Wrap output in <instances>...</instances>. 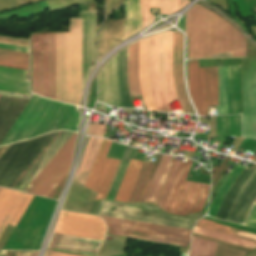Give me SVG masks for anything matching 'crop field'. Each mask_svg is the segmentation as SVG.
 Listing matches in <instances>:
<instances>
[{
    "mask_svg": "<svg viewBox=\"0 0 256 256\" xmlns=\"http://www.w3.org/2000/svg\"><path fill=\"white\" fill-rule=\"evenodd\" d=\"M189 58L245 56L246 38L230 23L196 4L186 13Z\"/></svg>",
    "mask_w": 256,
    "mask_h": 256,
    "instance_id": "obj_1",
    "label": "crop field"
},
{
    "mask_svg": "<svg viewBox=\"0 0 256 256\" xmlns=\"http://www.w3.org/2000/svg\"><path fill=\"white\" fill-rule=\"evenodd\" d=\"M189 91L199 115H208V105H218L219 115L227 114L226 67L198 68L188 61ZM228 114L241 113L240 66L227 67Z\"/></svg>",
    "mask_w": 256,
    "mask_h": 256,
    "instance_id": "obj_2",
    "label": "crop field"
},
{
    "mask_svg": "<svg viewBox=\"0 0 256 256\" xmlns=\"http://www.w3.org/2000/svg\"><path fill=\"white\" fill-rule=\"evenodd\" d=\"M37 99L38 97L33 95L0 146L11 143ZM78 121L79 112L76 111L75 106L39 97L12 142L31 138L53 130L66 129L77 131Z\"/></svg>",
    "mask_w": 256,
    "mask_h": 256,
    "instance_id": "obj_3",
    "label": "crop field"
},
{
    "mask_svg": "<svg viewBox=\"0 0 256 256\" xmlns=\"http://www.w3.org/2000/svg\"><path fill=\"white\" fill-rule=\"evenodd\" d=\"M81 91V19H70L69 32L56 33L55 100L78 105Z\"/></svg>",
    "mask_w": 256,
    "mask_h": 256,
    "instance_id": "obj_4",
    "label": "crop field"
},
{
    "mask_svg": "<svg viewBox=\"0 0 256 256\" xmlns=\"http://www.w3.org/2000/svg\"><path fill=\"white\" fill-rule=\"evenodd\" d=\"M176 161H179V160L172 159L173 166L171 168V171L169 173V176L167 178V181L162 190V193L160 195V198L158 200L156 207H158V205L160 203V200L163 196L165 188L168 184L170 176L175 167ZM181 162H182L181 168H180V164H181L180 162H177V164H176V167L171 176V179L169 181V184L166 188V191L164 193V196L161 200L159 207L164 208V205L166 203V200L168 198V195L170 193V190L172 188V185L174 183V180H175L178 170L180 168L179 173L177 175V178L175 180V183L173 185V188L171 190V193L169 195V198L167 200V203H166L163 211L168 214L186 216L188 214L200 212L202 210L204 202L208 195L210 185L185 181L193 161L188 159L187 162H183V161H181Z\"/></svg>",
    "mask_w": 256,
    "mask_h": 256,
    "instance_id": "obj_5",
    "label": "crop field"
},
{
    "mask_svg": "<svg viewBox=\"0 0 256 256\" xmlns=\"http://www.w3.org/2000/svg\"><path fill=\"white\" fill-rule=\"evenodd\" d=\"M150 76L155 102L160 111L172 112L168 103L176 101L172 76V33L150 38Z\"/></svg>",
    "mask_w": 256,
    "mask_h": 256,
    "instance_id": "obj_6",
    "label": "crop field"
},
{
    "mask_svg": "<svg viewBox=\"0 0 256 256\" xmlns=\"http://www.w3.org/2000/svg\"><path fill=\"white\" fill-rule=\"evenodd\" d=\"M32 92L55 97V33L32 34Z\"/></svg>",
    "mask_w": 256,
    "mask_h": 256,
    "instance_id": "obj_7",
    "label": "crop field"
},
{
    "mask_svg": "<svg viewBox=\"0 0 256 256\" xmlns=\"http://www.w3.org/2000/svg\"><path fill=\"white\" fill-rule=\"evenodd\" d=\"M75 136H76V133H74L70 137V139L63 145V147L56 153V155L49 161V163L41 170V172L27 186L24 192H28V193H32V194H36L44 197H46L49 194V192L57 185V183L69 171V167L72 161V150H73V145L75 141ZM67 175L68 173L58 183V185L50 192L47 198L58 200ZM20 178L16 181V183L20 180Z\"/></svg>",
    "mask_w": 256,
    "mask_h": 256,
    "instance_id": "obj_8",
    "label": "crop field"
},
{
    "mask_svg": "<svg viewBox=\"0 0 256 256\" xmlns=\"http://www.w3.org/2000/svg\"><path fill=\"white\" fill-rule=\"evenodd\" d=\"M101 217L103 218L105 223L115 224L114 228H118V229L122 228V224H123L124 220L103 217V216H101ZM110 224H107V226H108L107 233L112 234L113 230H117V229H113L114 225H110ZM153 226L154 225H151V224H145V223H139V222L125 220L122 230H117V231H121L120 235H123V236H131V237L149 239L151 231L153 229ZM154 228L182 232V233H185V231H186L183 229L170 228V227H164V226H158V225H155ZM156 230L152 231L151 238L148 241L161 242V243L189 247L190 240H188V239H190V233L192 230H187V232H186V238H188V239H185V235H182V234L162 232L163 230L162 231H156ZM117 231H114L113 235L119 236L120 232H117ZM131 237H129V238H131ZM138 238H135V239H138ZM146 239H142V240H146Z\"/></svg>",
    "mask_w": 256,
    "mask_h": 256,
    "instance_id": "obj_9",
    "label": "crop field"
},
{
    "mask_svg": "<svg viewBox=\"0 0 256 256\" xmlns=\"http://www.w3.org/2000/svg\"><path fill=\"white\" fill-rule=\"evenodd\" d=\"M112 141L104 139L86 183V187L98 192L92 207L98 208L105 199L116 173L120 158L107 157Z\"/></svg>",
    "mask_w": 256,
    "mask_h": 256,
    "instance_id": "obj_10",
    "label": "crop field"
},
{
    "mask_svg": "<svg viewBox=\"0 0 256 256\" xmlns=\"http://www.w3.org/2000/svg\"><path fill=\"white\" fill-rule=\"evenodd\" d=\"M105 231L97 216L61 211L54 232L103 241Z\"/></svg>",
    "mask_w": 256,
    "mask_h": 256,
    "instance_id": "obj_11",
    "label": "crop field"
},
{
    "mask_svg": "<svg viewBox=\"0 0 256 256\" xmlns=\"http://www.w3.org/2000/svg\"><path fill=\"white\" fill-rule=\"evenodd\" d=\"M243 135L256 138V58L242 59Z\"/></svg>",
    "mask_w": 256,
    "mask_h": 256,
    "instance_id": "obj_12",
    "label": "crop field"
},
{
    "mask_svg": "<svg viewBox=\"0 0 256 256\" xmlns=\"http://www.w3.org/2000/svg\"><path fill=\"white\" fill-rule=\"evenodd\" d=\"M32 195L2 188L0 192V236L7 225L15 227Z\"/></svg>",
    "mask_w": 256,
    "mask_h": 256,
    "instance_id": "obj_13",
    "label": "crop field"
},
{
    "mask_svg": "<svg viewBox=\"0 0 256 256\" xmlns=\"http://www.w3.org/2000/svg\"><path fill=\"white\" fill-rule=\"evenodd\" d=\"M100 99L105 103L123 108L117 77V55L101 70L98 77Z\"/></svg>",
    "mask_w": 256,
    "mask_h": 256,
    "instance_id": "obj_14",
    "label": "crop field"
},
{
    "mask_svg": "<svg viewBox=\"0 0 256 256\" xmlns=\"http://www.w3.org/2000/svg\"><path fill=\"white\" fill-rule=\"evenodd\" d=\"M101 241L78 238L54 233L47 249L75 253L87 256H96Z\"/></svg>",
    "mask_w": 256,
    "mask_h": 256,
    "instance_id": "obj_15",
    "label": "crop field"
},
{
    "mask_svg": "<svg viewBox=\"0 0 256 256\" xmlns=\"http://www.w3.org/2000/svg\"><path fill=\"white\" fill-rule=\"evenodd\" d=\"M183 38L180 32L173 33V75L176 95L184 113L192 111L182 73Z\"/></svg>",
    "mask_w": 256,
    "mask_h": 256,
    "instance_id": "obj_16",
    "label": "crop field"
},
{
    "mask_svg": "<svg viewBox=\"0 0 256 256\" xmlns=\"http://www.w3.org/2000/svg\"><path fill=\"white\" fill-rule=\"evenodd\" d=\"M82 46H83V84L92 69L94 58V37L96 33L97 11H82Z\"/></svg>",
    "mask_w": 256,
    "mask_h": 256,
    "instance_id": "obj_17",
    "label": "crop field"
},
{
    "mask_svg": "<svg viewBox=\"0 0 256 256\" xmlns=\"http://www.w3.org/2000/svg\"><path fill=\"white\" fill-rule=\"evenodd\" d=\"M139 77L143 101L147 109L159 111L152 95L149 76V38L139 41Z\"/></svg>",
    "mask_w": 256,
    "mask_h": 256,
    "instance_id": "obj_18",
    "label": "crop field"
},
{
    "mask_svg": "<svg viewBox=\"0 0 256 256\" xmlns=\"http://www.w3.org/2000/svg\"><path fill=\"white\" fill-rule=\"evenodd\" d=\"M0 92L29 95L27 71L0 67Z\"/></svg>",
    "mask_w": 256,
    "mask_h": 256,
    "instance_id": "obj_19",
    "label": "crop field"
},
{
    "mask_svg": "<svg viewBox=\"0 0 256 256\" xmlns=\"http://www.w3.org/2000/svg\"><path fill=\"white\" fill-rule=\"evenodd\" d=\"M190 1L188 0H140L142 25L141 29L153 22V16L149 13V8H161V14H170L176 10L182 9Z\"/></svg>",
    "mask_w": 256,
    "mask_h": 256,
    "instance_id": "obj_20",
    "label": "crop field"
},
{
    "mask_svg": "<svg viewBox=\"0 0 256 256\" xmlns=\"http://www.w3.org/2000/svg\"><path fill=\"white\" fill-rule=\"evenodd\" d=\"M0 47L19 49L29 51V48L2 44ZM0 48V65L17 67V68H29V52Z\"/></svg>",
    "mask_w": 256,
    "mask_h": 256,
    "instance_id": "obj_21",
    "label": "crop field"
},
{
    "mask_svg": "<svg viewBox=\"0 0 256 256\" xmlns=\"http://www.w3.org/2000/svg\"><path fill=\"white\" fill-rule=\"evenodd\" d=\"M102 140V138H90L75 178L73 180L74 182L79 183L83 186L85 185Z\"/></svg>",
    "mask_w": 256,
    "mask_h": 256,
    "instance_id": "obj_22",
    "label": "crop field"
},
{
    "mask_svg": "<svg viewBox=\"0 0 256 256\" xmlns=\"http://www.w3.org/2000/svg\"><path fill=\"white\" fill-rule=\"evenodd\" d=\"M173 156H162L148 194L144 202L156 205L163 185L166 181L170 168L172 166L171 158Z\"/></svg>",
    "mask_w": 256,
    "mask_h": 256,
    "instance_id": "obj_23",
    "label": "crop field"
},
{
    "mask_svg": "<svg viewBox=\"0 0 256 256\" xmlns=\"http://www.w3.org/2000/svg\"><path fill=\"white\" fill-rule=\"evenodd\" d=\"M143 161L131 158L114 200L127 203Z\"/></svg>",
    "mask_w": 256,
    "mask_h": 256,
    "instance_id": "obj_24",
    "label": "crop field"
},
{
    "mask_svg": "<svg viewBox=\"0 0 256 256\" xmlns=\"http://www.w3.org/2000/svg\"><path fill=\"white\" fill-rule=\"evenodd\" d=\"M127 75L131 96H141L138 77V42L128 46Z\"/></svg>",
    "mask_w": 256,
    "mask_h": 256,
    "instance_id": "obj_25",
    "label": "crop field"
},
{
    "mask_svg": "<svg viewBox=\"0 0 256 256\" xmlns=\"http://www.w3.org/2000/svg\"><path fill=\"white\" fill-rule=\"evenodd\" d=\"M196 227L204 228L207 230L215 231L218 233L230 235L233 237L241 238L256 243V234L223 226L213 221L201 219L197 222Z\"/></svg>",
    "mask_w": 256,
    "mask_h": 256,
    "instance_id": "obj_26",
    "label": "crop field"
},
{
    "mask_svg": "<svg viewBox=\"0 0 256 256\" xmlns=\"http://www.w3.org/2000/svg\"><path fill=\"white\" fill-rule=\"evenodd\" d=\"M127 47L118 53V76L120 94L124 108H133L126 76Z\"/></svg>",
    "mask_w": 256,
    "mask_h": 256,
    "instance_id": "obj_27",
    "label": "crop field"
},
{
    "mask_svg": "<svg viewBox=\"0 0 256 256\" xmlns=\"http://www.w3.org/2000/svg\"><path fill=\"white\" fill-rule=\"evenodd\" d=\"M125 9V30H124V37L123 39L130 36L131 28H132V21H133V9H134V22L131 35L140 31V24H141V14H140V5L139 0H133V9H132V0H128L124 3Z\"/></svg>",
    "mask_w": 256,
    "mask_h": 256,
    "instance_id": "obj_28",
    "label": "crop field"
},
{
    "mask_svg": "<svg viewBox=\"0 0 256 256\" xmlns=\"http://www.w3.org/2000/svg\"><path fill=\"white\" fill-rule=\"evenodd\" d=\"M217 133L219 135L241 137V116L216 117Z\"/></svg>",
    "mask_w": 256,
    "mask_h": 256,
    "instance_id": "obj_29",
    "label": "crop field"
},
{
    "mask_svg": "<svg viewBox=\"0 0 256 256\" xmlns=\"http://www.w3.org/2000/svg\"><path fill=\"white\" fill-rule=\"evenodd\" d=\"M245 169L244 166H240L237 165L232 172L230 173V175L228 176V178L226 179V181L224 182V184L221 186V188L219 189L209 211H208V215L215 217L216 212L223 200V198L225 197L230 185L234 182V180L238 177V175Z\"/></svg>",
    "mask_w": 256,
    "mask_h": 256,
    "instance_id": "obj_30",
    "label": "crop field"
},
{
    "mask_svg": "<svg viewBox=\"0 0 256 256\" xmlns=\"http://www.w3.org/2000/svg\"><path fill=\"white\" fill-rule=\"evenodd\" d=\"M216 245V242L193 236L188 256H214Z\"/></svg>",
    "mask_w": 256,
    "mask_h": 256,
    "instance_id": "obj_31",
    "label": "crop field"
},
{
    "mask_svg": "<svg viewBox=\"0 0 256 256\" xmlns=\"http://www.w3.org/2000/svg\"><path fill=\"white\" fill-rule=\"evenodd\" d=\"M134 150H135L134 148H131L128 146L126 147L124 155L122 157V160L120 162L117 173L115 175V178L113 180V183L111 185L110 191H109L106 199H112V200L114 199L117 189L119 187V184L121 182L122 176H123L126 166L128 164V161H129L132 153L134 152Z\"/></svg>",
    "mask_w": 256,
    "mask_h": 256,
    "instance_id": "obj_32",
    "label": "crop field"
},
{
    "mask_svg": "<svg viewBox=\"0 0 256 256\" xmlns=\"http://www.w3.org/2000/svg\"><path fill=\"white\" fill-rule=\"evenodd\" d=\"M193 232L201 234V235L209 236V237H212V238H216V239H219V240L227 241V242H230V243H234V244H237V245L245 246V247H248V248H252V249L256 248L255 243L244 241V240L233 238V237H229V236L222 235V234H218V233H215V232L207 231V230H204V229H200V228L195 227Z\"/></svg>",
    "mask_w": 256,
    "mask_h": 256,
    "instance_id": "obj_33",
    "label": "crop field"
},
{
    "mask_svg": "<svg viewBox=\"0 0 256 256\" xmlns=\"http://www.w3.org/2000/svg\"><path fill=\"white\" fill-rule=\"evenodd\" d=\"M152 164L145 163L142 166V169L140 171L139 177L137 179V182L135 184V187L133 189L132 195L130 197V200L128 203H134L137 202L139 199V196L142 192V189L144 187V184L146 182V179L148 177V174L151 170Z\"/></svg>",
    "mask_w": 256,
    "mask_h": 256,
    "instance_id": "obj_34",
    "label": "crop field"
},
{
    "mask_svg": "<svg viewBox=\"0 0 256 256\" xmlns=\"http://www.w3.org/2000/svg\"><path fill=\"white\" fill-rule=\"evenodd\" d=\"M161 156H162L161 154H158V155H157L156 161L154 162V166H153V168H152V170H151V173H150V175H149V178H148V180H147V182H146V185H145V187H144V189H143V192H142L141 197H140V199H139L138 202H143V201H144L145 196H146V194H147V191H148V189H149V186H150V184H151L152 178H153V176H154V173H155L156 168H157V166H158V163H159V161H160Z\"/></svg>",
    "mask_w": 256,
    "mask_h": 256,
    "instance_id": "obj_35",
    "label": "crop field"
},
{
    "mask_svg": "<svg viewBox=\"0 0 256 256\" xmlns=\"http://www.w3.org/2000/svg\"><path fill=\"white\" fill-rule=\"evenodd\" d=\"M106 125L103 124H89L86 134L103 137Z\"/></svg>",
    "mask_w": 256,
    "mask_h": 256,
    "instance_id": "obj_36",
    "label": "crop field"
},
{
    "mask_svg": "<svg viewBox=\"0 0 256 256\" xmlns=\"http://www.w3.org/2000/svg\"><path fill=\"white\" fill-rule=\"evenodd\" d=\"M244 225L252 228H256V203H254Z\"/></svg>",
    "mask_w": 256,
    "mask_h": 256,
    "instance_id": "obj_37",
    "label": "crop field"
},
{
    "mask_svg": "<svg viewBox=\"0 0 256 256\" xmlns=\"http://www.w3.org/2000/svg\"><path fill=\"white\" fill-rule=\"evenodd\" d=\"M36 253L38 251H5L4 256H34Z\"/></svg>",
    "mask_w": 256,
    "mask_h": 256,
    "instance_id": "obj_38",
    "label": "crop field"
},
{
    "mask_svg": "<svg viewBox=\"0 0 256 256\" xmlns=\"http://www.w3.org/2000/svg\"><path fill=\"white\" fill-rule=\"evenodd\" d=\"M0 42L29 47V43L28 42H24V41L0 38Z\"/></svg>",
    "mask_w": 256,
    "mask_h": 256,
    "instance_id": "obj_39",
    "label": "crop field"
},
{
    "mask_svg": "<svg viewBox=\"0 0 256 256\" xmlns=\"http://www.w3.org/2000/svg\"><path fill=\"white\" fill-rule=\"evenodd\" d=\"M229 164H226L223 169L220 171V173L217 175V177L214 179V181L212 182V188L211 190L214 188V186L217 184L218 180L220 179V177L224 174V172L229 168Z\"/></svg>",
    "mask_w": 256,
    "mask_h": 256,
    "instance_id": "obj_40",
    "label": "crop field"
},
{
    "mask_svg": "<svg viewBox=\"0 0 256 256\" xmlns=\"http://www.w3.org/2000/svg\"><path fill=\"white\" fill-rule=\"evenodd\" d=\"M229 159L230 158L227 157L226 160L216 169V171L212 174V180L215 178V176L218 174L221 168L228 162Z\"/></svg>",
    "mask_w": 256,
    "mask_h": 256,
    "instance_id": "obj_41",
    "label": "crop field"
},
{
    "mask_svg": "<svg viewBox=\"0 0 256 256\" xmlns=\"http://www.w3.org/2000/svg\"><path fill=\"white\" fill-rule=\"evenodd\" d=\"M45 256H75V255H68V254L46 251Z\"/></svg>",
    "mask_w": 256,
    "mask_h": 256,
    "instance_id": "obj_42",
    "label": "crop field"
},
{
    "mask_svg": "<svg viewBox=\"0 0 256 256\" xmlns=\"http://www.w3.org/2000/svg\"><path fill=\"white\" fill-rule=\"evenodd\" d=\"M8 146H5V147H0V155L6 150Z\"/></svg>",
    "mask_w": 256,
    "mask_h": 256,
    "instance_id": "obj_43",
    "label": "crop field"
},
{
    "mask_svg": "<svg viewBox=\"0 0 256 256\" xmlns=\"http://www.w3.org/2000/svg\"><path fill=\"white\" fill-rule=\"evenodd\" d=\"M27 3L30 2V1H33V0H25Z\"/></svg>",
    "mask_w": 256,
    "mask_h": 256,
    "instance_id": "obj_44",
    "label": "crop field"
},
{
    "mask_svg": "<svg viewBox=\"0 0 256 256\" xmlns=\"http://www.w3.org/2000/svg\"><path fill=\"white\" fill-rule=\"evenodd\" d=\"M0 190H1V188H0Z\"/></svg>",
    "mask_w": 256,
    "mask_h": 256,
    "instance_id": "obj_45",
    "label": "crop field"
}]
</instances>
